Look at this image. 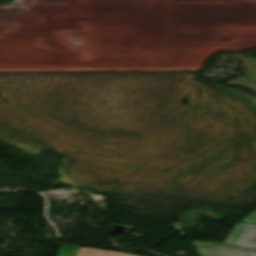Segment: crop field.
<instances>
[{
  "label": "crop field",
  "instance_id": "obj_2",
  "mask_svg": "<svg viewBox=\"0 0 256 256\" xmlns=\"http://www.w3.org/2000/svg\"><path fill=\"white\" fill-rule=\"evenodd\" d=\"M224 244L256 248V225L238 222Z\"/></svg>",
  "mask_w": 256,
  "mask_h": 256
},
{
  "label": "crop field",
  "instance_id": "obj_1",
  "mask_svg": "<svg viewBox=\"0 0 256 256\" xmlns=\"http://www.w3.org/2000/svg\"><path fill=\"white\" fill-rule=\"evenodd\" d=\"M200 256H256V249L194 242Z\"/></svg>",
  "mask_w": 256,
  "mask_h": 256
},
{
  "label": "crop field",
  "instance_id": "obj_3",
  "mask_svg": "<svg viewBox=\"0 0 256 256\" xmlns=\"http://www.w3.org/2000/svg\"><path fill=\"white\" fill-rule=\"evenodd\" d=\"M78 256H133V255L114 253V252L103 251L98 249L81 248Z\"/></svg>",
  "mask_w": 256,
  "mask_h": 256
},
{
  "label": "crop field",
  "instance_id": "obj_4",
  "mask_svg": "<svg viewBox=\"0 0 256 256\" xmlns=\"http://www.w3.org/2000/svg\"><path fill=\"white\" fill-rule=\"evenodd\" d=\"M241 222L255 223L256 224V210L244 218Z\"/></svg>",
  "mask_w": 256,
  "mask_h": 256
}]
</instances>
